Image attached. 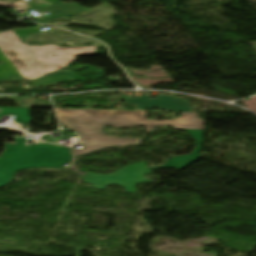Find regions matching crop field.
<instances>
[{"instance_id":"obj_9","label":"crop field","mask_w":256,"mask_h":256,"mask_svg":"<svg viewBox=\"0 0 256 256\" xmlns=\"http://www.w3.org/2000/svg\"><path fill=\"white\" fill-rule=\"evenodd\" d=\"M14 120H15V122L22 123V122H20V121H18L16 119H14ZM25 123L29 124L30 122H25Z\"/></svg>"},{"instance_id":"obj_5","label":"crop field","mask_w":256,"mask_h":256,"mask_svg":"<svg viewBox=\"0 0 256 256\" xmlns=\"http://www.w3.org/2000/svg\"><path fill=\"white\" fill-rule=\"evenodd\" d=\"M75 4V3H74ZM74 4H71V5H64V4H59V5H56V6H52V7H48V8H41L39 6H36V7H33L34 9L38 8L42 11H49L50 12V15L56 13L57 15L52 17V18H49V19H53V18H58V17H68V16H71V15H74V14H77V13H80V12H83V11H86L87 9H84V8H80ZM47 19V20H49Z\"/></svg>"},{"instance_id":"obj_4","label":"crop field","mask_w":256,"mask_h":256,"mask_svg":"<svg viewBox=\"0 0 256 256\" xmlns=\"http://www.w3.org/2000/svg\"><path fill=\"white\" fill-rule=\"evenodd\" d=\"M155 99H149L154 97ZM125 104L131 106L136 105L137 110H146L150 107H156L159 110L165 111H194L187 100L175 98L173 96L151 95V96H137L133 99H124Z\"/></svg>"},{"instance_id":"obj_6","label":"crop field","mask_w":256,"mask_h":256,"mask_svg":"<svg viewBox=\"0 0 256 256\" xmlns=\"http://www.w3.org/2000/svg\"><path fill=\"white\" fill-rule=\"evenodd\" d=\"M75 79L72 72H59L51 75H46L39 79L31 80L35 86L51 84L58 81L72 80Z\"/></svg>"},{"instance_id":"obj_2","label":"crop field","mask_w":256,"mask_h":256,"mask_svg":"<svg viewBox=\"0 0 256 256\" xmlns=\"http://www.w3.org/2000/svg\"><path fill=\"white\" fill-rule=\"evenodd\" d=\"M96 49V46H28L21 43L14 30L0 33V59L4 63L0 66V81L39 78L42 74L64 68L77 56L95 54Z\"/></svg>"},{"instance_id":"obj_1","label":"crop field","mask_w":256,"mask_h":256,"mask_svg":"<svg viewBox=\"0 0 256 256\" xmlns=\"http://www.w3.org/2000/svg\"><path fill=\"white\" fill-rule=\"evenodd\" d=\"M61 123L81 135L79 143L83 146L78 150H72L73 155H82L92 151L118 145L139 143L140 139L117 138L103 135L100 130L105 125L113 127H133L144 125L147 131L153 126L171 125L174 128L182 129L195 138L196 147L191 155L178 156L168 160L167 164L161 167H173L180 170L198 159V153L202 140V122L196 113L182 112L181 117L172 121H150L144 119V111H118V110H78V109H56ZM91 122V124H85ZM93 127H97L93 130ZM146 169L144 162H139L124 167L123 169L105 175H95L78 172L84 183H89L97 189H104L107 185L116 184L127 190L136 192L134 185L139 182H147L144 175L151 173Z\"/></svg>"},{"instance_id":"obj_8","label":"crop field","mask_w":256,"mask_h":256,"mask_svg":"<svg viewBox=\"0 0 256 256\" xmlns=\"http://www.w3.org/2000/svg\"><path fill=\"white\" fill-rule=\"evenodd\" d=\"M20 5H23V3H21V2H15V3L13 4V3H8V2H2V1H0V6H2V7L11 8V7H13V6H20Z\"/></svg>"},{"instance_id":"obj_7","label":"crop field","mask_w":256,"mask_h":256,"mask_svg":"<svg viewBox=\"0 0 256 256\" xmlns=\"http://www.w3.org/2000/svg\"><path fill=\"white\" fill-rule=\"evenodd\" d=\"M30 109L31 108H2V107H0V117L3 114H14L17 116L16 119H18L22 122L30 121V118H29Z\"/></svg>"},{"instance_id":"obj_3","label":"crop field","mask_w":256,"mask_h":256,"mask_svg":"<svg viewBox=\"0 0 256 256\" xmlns=\"http://www.w3.org/2000/svg\"><path fill=\"white\" fill-rule=\"evenodd\" d=\"M0 157V186L6 185L18 170L38 167L61 168L71 158L68 148L48 144L31 145L22 138L15 145L4 144Z\"/></svg>"}]
</instances>
